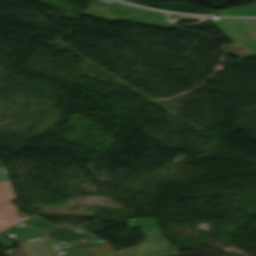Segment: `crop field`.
Masks as SVG:
<instances>
[{
  "mask_svg": "<svg viewBox=\"0 0 256 256\" xmlns=\"http://www.w3.org/2000/svg\"><path fill=\"white\" fill-rule=\"evenodd\" d=\"M232 43L256 42V19L211 18Z\"/></svg>",
  "mask_w": 256,
  "mask_h": 256,
  "instance_id": "crop-field-2",
  "label": "crop field"
},
{
  "mask_svg": "<svg viewBox=\"0 0 256 256\" xmlns=\"http://www.w3.org/2000/svg\"><path fill=\"white\" fill-rule=\"evenodd\" d=\"M20 217L16 216V206L5 203L0 206V229L16 222Z\"/></svg>",
  "mask_w": 256,
  "mask_h": 256,
  "instance_id": "crop-field-4",
  "label": "crop field"
},
{
  "mask_svg": "<svg viewBox=\"0 0 256 256\" xmlns=\"http://www.w3.org/2000/svg\"><path fill=\"white\" fill-rule=\"evenodd\" d=\"M0 246L4 249L14 246L8 239H6L2 234H0Z\"/></svg>",
  "mask_w": 256,
  "mask_h": 256,
  "instance_id": "crop-field-9",
  "label": "crop field"
},
{
  "mask_svg": "<svg viewBox=\"0 0 256 256\" xmlns=\"http://www.w3.org/2000/svg\"><path fill=\"white\" fill-rule=\"evenodd\" d=\"M7 174H6V171H5V168H0V180H4V179H7Z\"/></svg>",
  "mask_w": 256,
  "mask_h": 256,
  "instance_id": "crop-field-11",
  "label": "crop field"
},
{
  "mask_svg": "<svg viewBox=\"0 0 256 256\" xmlns=\"http://www.w3.org/2000/svg\"><path fill=\"white\" fill-rule=\"evenodd\" d=\"M14 199V192L9 180L0 181V205Z\"/></svg>",
  "mask_w": 256,
  "mask_h": 256,
  "instance_id": "crop-field-7",
  "label": "crop field"
},
{
  "mask_svg": "<svg viewBox=\"0 0 256 256\" xmlns=\"http://www.w3.org/2000/svg\"><path fill=\"white\" fill-rule=\"evenodd\" d=\"M82 14L108 21L127 20L167 29L176 27L159 11L141 9L113 0H93Z\"/></svg>",
  "mask_w": 256,
  "mask_h": 256,
  "instance_id": "crop-field-1",
  "label": "crop field"
},
{
  "mask_svg": "<svg viewBox=\"0 0 256 256\" xmlns=\"http://www.w3.org/2000/svg\"><path fill=\"white\" fill-rule=\"evenodd\" d=\"M219 14L220 15L256 16V4L220 11Z\"/></svg>",
  "mask_w": 256,
  "mask_h": 256,
  "instance_id": "crop-field-6",
  "label": "crop field"
},
{
  "mask_svg": "<svg viewBox=\"0 0 256 256\" xmlns=\"http://www.w3.org/2000/svg\"><path fill=\"white\" fill-rule=\"evenodd\" d=\"M225 46L227 47L228 50L238 48V47L242 48L244 52L235 54L240 59L256 56V43H254L253 41L236 43V44H228Z\"/></svg>",
  "mask_w": 256,
  "mask_h": 256,
  "instance_id": "crop-field-5",
  "label": "crop field"
},
{
  "mask_svg": "<svg viewBox=\"0 0 256 256\" xmlns=\"http://www.w3.org/2000/svg\"><path fill=\"white\" fill-rule=\"evenodd\" d=\"M9 252H7L8 256H26L20 249L16 248L14 250H12L11 248H9Z\"/></svg>",
  "mask_w": 256,
  "mask_h": 256,
  "instance_id": "crop-field-10",
  "label": "crop field"
},
{
  "mask_svg": "<svg viewBox=\"0 0 256 256\" xmlns=\"http://www.w3.org/2000/svg\"><path fill=\"white\" fill-rule=\"evenodd\" d=\"M0 167H3V164L0 162Z\"/></svg>",
  "mask_w": 256,
  "mask_h": 256,
  "instance_id": "crop-field-12",
  "label": "crop field"
},
{
  "mask_svg": "<svg viewBox=\"0 0 256 256\" xmlns=\"http://www.w3.org/2000/svg\"><path fill=\"white\" fill-rule=\"evenodd\" d=\"M19 247L28 256H60L56 245L49 235L21 244Z\"/></svg>",
  "mask_w": 256,
  "mask_h": 256,
  "instance_id": "crop-field-3",
  "label": "crop field"
},
{
  "mask_svg": "<svg viewBox=\"0 0 256 256\" xmlns=\"http://www.w3.org/2000/svg\"><path fill=\"white\" fill-rule=\"evenodd\" d=\"M21 222H24V223H27V224H30V225H33V226H36V227H39V228H42L46 231H49V230H52V229H55V228H58L57 226L41 219V218H37V217H33V218H29V219H26V220H22Z\"/></svg>",
  "mask_w": 256,
  "mask_h": 256,
  "instance_id": "crop-field-8",
  "label": "crop field"
}]
</instances>
